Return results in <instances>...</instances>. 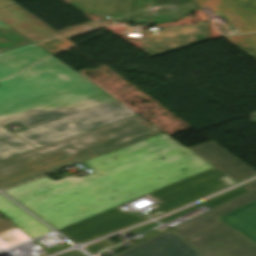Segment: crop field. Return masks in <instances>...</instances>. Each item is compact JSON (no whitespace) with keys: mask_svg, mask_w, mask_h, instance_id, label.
Instances as JSON below:
<instances>
[{"mask_svg":"<svg viewBox=\"0 0 256 256\" xmlns=\"http://www.w3.org/2000/svg\"><path fill=\"white\" fill-rule=\"evenodd\" d=\"M249 192L172 229L202 256H256V180Z\"/></svg>","mask_w":256,"mask_h":256,"instance_id":"4","label":"crop field"},{"mask_svg":"<svg viewBox=\"0 0 256 256\" xmlns=\"http://www.w3.org/2000/svg\"><path fill=\"white\" fill-rule=\"evenodd\" d=\"M0 27L14 30L11 27H9L8 25H6L4 22H2L1 20H0Z\"/></svg>","mask_w":256,"mask_h":256,"instance_id":"28","label":"crop field"},{"mask_svg":"<svg viewBox=\"0 0 256 256\" xmlns=\"http://www.w3.org/2000/svg\"><path fill=\"white\" fill-rule=\"evenodd\" d=\"M156 56L208 39L207 22L154 31Z\"/></svg>","mask_w":256,"mask_h":256,"instance_id":"12","label":"crop field"},{"mask_svg":"<svg viewBox=\"0 0 256 256\" xmlns=\"http://www.w3.org/2000/svg\"><path fill=\"white\" fill-rule=\"evenodd\" d=\"M12 137L10 132L0 126V142L6 141Z\"/></svg>","mask_w":256,"mask_h":256,"instance_id":"26","label":"crop field"},{"mask_svg":"<svg viewBox=\"0 0 256 256\" xmlns=\"http://www.w3.org/2000/svg\"><path fill=\"white\" fill-rule=\"evenodd\" d=\"M227 40L256 60V33L228 36Z\"/></svg>","mask_w":256,"mask_h":256,"instance_id":"20","label":"crop field"},{"mask_svg":"<svg viewBox=\"0 0 256 256\" xmlns=\"http://www.w3.org/2000/svg\"><path fill=\"white\" fill-rule=\"evenodd\" d=\"M155 233H157V232L154 231V230H151V231H149L147 233L142 234L143 236L141 238L135 240V241L139 242V241H141V240H143V239H145V238H147V237H149V236H151V235H153Z\"/></svg>","mask_w":256,"mask_h":256,"instance_id":"27","label":"crop field"},{"mask_svg":"<svg viewBox=\"0 0 256 256\" xmlns=\"http://www.w3.org/2000/svg\"><path fill=\"white\" fill-rule=\"evenodd\" d=\"M198 7H209L226 18L234 33L256 32V0H194Z\"/></svg>","mask_w":256,"mask_h":256,"instance_id":"8","label":"crop field"},{"mask_svg":"<svg viewBox=\"0 0 256 256\" xmlns=\"http://www.w3.org/2000/svg\"><path fill=\"white\" fill-rule=\"evenodd\" d=\"M112 245H114L112 242L105 239V240H102L100 242H97V243H94V244H91V245L87 246L86 249L89 253L93 254L95 252H98V251H100L102 249H105L107 247H110Z\"/></svg>","mask_w":256,"mask_h":256,"instance_id":"23","label":"crop field"},{"mask_svg":"<svg viewBox=\"0 0 256 256\" xmlns=\"http://www.w3.org/2000/svg\"><path fill=\"white\" fill-rule=\"evenodd\" d=\"M13 227H15V225H13L7 219H5V218L0 219V233L6 231L8 229H11Z\"/></svg>","mask_w":256,"mask_h":256,"instance_id":"24","label":"crop field"},{"mask_svg":"<svg viewBox=\"0 0 256 256\" xmlns=\"http://www.w3.org/2000/svg\"><path fill=\"white\" fill-rule=\"evenodd\" d=\"M188 149L235 182L256 173L212 141Z\"/></svg>","mask_w":256,"mask_h":256,"instance_id":"13","label":"crop field"},{"mask_svg":"<svg viewBox=\"0 0 256 256\" xmlns=\"http://www.w3.org/2000/svg\"><path fill=\"white\" fill-rule=\"evenodd\" d=\"M114 98L50 57L0 81V125L18 122L28 129Z\"/></svg>","mask_w":256,"mask_h":256,"instance_id":"2","label":"crop field"},{"mask_svg":"<svg viewBox=\"0 0 256 256\" xmlns=\"http://www.w3.org/2000/svg\"><path fill=\"white\" fill-rule=\"evenodd\" d=\"M13 2V0H0V7ZM0 18L33 42L59 35L18 4L1 8Z\"/></svg>","mask_w":256,"mask_h":256,"instance_id":"11","label":"crop field"},{"mask_svg":"<svg viewBox=\"0 0 256 256\" xmlns=\"http://www.w3.org/2000/svg\"><path fill=\"white\" fill-rule=\"evenodd\" d=\"M234 183L222 173L212 168L148 194L160 202L152 205L154 209L146 214L153 217Z\"/></svg>","mask_w":256,"mask_h":256,"instance_id":"6","label":"crop field"},{"mask_svg":"<svg viewBox=\"0 0 256 256\" xmlns=\"http://www.w3.org/2000/svg\"><path fill=\"white\" fill-rule=\"evenodd\" d=\"M251 122L256 124V112L251 114Z\"/></svg>","mask_w":256,"mask_h":256,"instance_id":"29","label":"crop field"},{"mask_svg":"<svg viewBox=\"0 0 256 256\" xmlns=\"http://www.w3.org/2000/svg\"><path fill=\"white\" fill-rule=\"evenodd\" d=\"M81 163L94 173L45 176L3 192L59 230L212 168L163 133Z\"/></svg>","mask_w":256,"mask_h":256,"instance_id":"1","label":"crop field"},{"mask_svg":"<svg viewBox=\"0 0 256 256\" xmlns=\"http://www.w3.org/2000/svg\"><path fill=\"white\" fill-rule=\"evenodd\" d=\"M33 149L36 148L16 138L10 142L0 144V161Z\"/></svg>","mask_w":256,"mask_h":256,"instance_id":"19","label":"crop field"},{"mask_svg":"<svg viewBox=\"0 0 256 256\" xmlns=\"http://www.w3.org/2000/svg\"><path fill=\"white\" fill-rule=\"evenodd\" d=\"M131 0H71L80 11L129 22Z\"/></svg>","mask_w":256,"mask_h":256,"instance_id":"15","label":"crop field"},{"mask_svg":"<svg viewBox=\"0 0 256 256\" xmlns=\"http://www.w3.org/2000/svg\"><path fill=\"white\" fill-rule=\"evenodd\" d=\"M144 220L135 212L117 207L59 230L74 242L87 241Z\"/></svg>","mask_w":256,"mask_h":256,"instance_id":"7","label":"crop field"},{"mask_svg":"<svg viewBox=\"0 0 256 256\" xmlns=\"http://www.w3.org/2000/svg\"><path fill=\"white\" fill-rule=\"evenodd\" d=\"M32 43L20 33L0 28V52Z\"/></svg>","mask_w":256,"mask_h":256,"instance_id":"18","label":"crop field"},{"mask_svg":"<svg viewBox=\"0 0 256 256\" xmlns=\"http://www.w3.org/2000/svg\"><path fill=\"white\" fill-rule=\"evenodd\" d=\"M161 133L135 115L0 162V189Z\"/></svg>","mask_w":256,"mask_h":256,"instance_id":"3","label":"crop field"},{"mask_svg":"<svg viewBox=\"0 0 256 256\" xmlns=\"http://www.w3.org/2000/svg\"><path fill=\"white\" fill-rule=\"evenodd\" d=\"M135 115L114 101L50 123L14 133L39 148L88 130Z\"/></svg>","mask_w":256,"mask_h":256,"instance_id":"5","label":"crop field"},{"mask_svg":"<svg viewBox=\"0 0 256 256\" xmlns=\"http://www.w3.org/2000/svg\"><path fill=\"white\" fill-rule=\"evenodd\" d=\"M114 256H201L169 230Z\"/></svg>","mask_w":256,"mask_h":256,"instance_id":"10","label":"crop field"},{"mask_svg":"<svg viewBox=\"0 0 256 256\" xmlns=\"http://www.w3.org/2000/svg\"><path fill=\"white\" fill-rule=\"evenodd\" d=\"M35 43L39 45L41 48H43L50 55L74 44L61 35L55 36L49 39H45L39 42H35Z\"/></svg>","mask_w":256,"mask_h":256,"instance_id":"21","label":"crop field"},{"mask_svg":"<svg viewBox=\"0 0 256 256\" xmlns=\"http://www.w3.org/2000/svg\"><path fill=\"white\" fill-rule=\"evenodd\" d=\"M247 191H248V190H246V189L240 187V188L235 189V190H233V191H231V192H228V193H226V194H223V195H221V196H218V197H216V198H213V199H211V200H209V201H206V202H204V203H201V204H199V205H197V206H194V207H192V208H190V209H187V210H185V211L179 212V213H177V214L171 215V216H169V217L163 218V219L158 220V221H159V222H169V221H171V220H174V219H176V218H178V217H180V216H182V215H184V214H186V213H188V212H190V211H192V210H194V209H196V208L202 206V205H204V206H206V207L212 209V208H214V207H216V206H218V205H220V204H222V203H224V202H226V201H228V200H231V199H233V198H235V197H237V196H239V195H241V194H243V193H245V192H247Z\"/></svg>","mask_w":256,"mask_h":256,"instance_id":"17","label":"crop field"},{"mask_svg":"<svg viewBox=\"0 0 256 256\" xmlns=\"http://www.w3.org/2000/svg\"><path fill=\"white\" fill-rule=\"evenodd\" d=\"M47 53L34 43L0 53V79L50 56Z\"/></svg>","mask_w":256,"mask_h":256,"instance_id":"14","label":"crop field"},{"mask_svg":"<svg viewBox=\"0 0 256 256\" xmlns=\"http://www.w3.org/2000/svg\"><path fill=\"white\" fill-rule=\"evenodd\" d=\"M0 211L19 225L32 238L51 232L50 229L2 195H0Z\"/></svg>","mask_w":256,"mask_h":256,"instance_id":"16","label":"crop field"},{"mask_svg":"<svg viewBox=\"0 0 256 256\" xmlns=\"http://www.w3.org/2000/svg\"><path fill=\"white\" fill-rule=\"evenodd\" d=\"M157 225H158V224H157L156 222H153V223L147 224V225H145V226H142V227H139V228L130 230V231L139 234V233H141V232H143V231H145V230H147V229H150V228H152V227H155V226H157Z\"/></svg>","mask_w":256,"mask_h":256,"instance_id":"25","label":"crop field"},{"mask_svg":"<svg viewBox=\"0 0 256 256\" xmlns=\"http://www.w3.org/2000/svg\"><path fill=\"white\" fill-rule=\"evenodd\" d=\"M196 8L193 0H134L132 21L157 23L175 20Z\"/></svg>","mask_w":256,"mask_h":256,"instance_id":"9","label":"crop field"},{"mask_svg":"<svg viewBox=\"0 0 256 256\" xmlns=\"http://www.w3.org/2000/svg\"><path fill=\"white\" fill-rule=\"evenodd\" d=\"M98 27H102V26L99 25L98 23L92 21V22H89V23H86V24H83V25H80V26H77V27L59 32V33L61 35L65 36V37H67V36L78 34V33L84 32V31L95 29V28H98Z\"/></svg>","mask_w":256,"mask_h":256,"instance_id":"22","label":"crop field"}]
</instances>
